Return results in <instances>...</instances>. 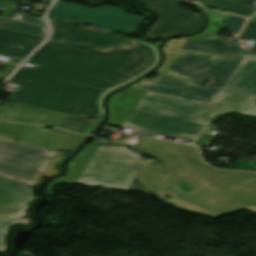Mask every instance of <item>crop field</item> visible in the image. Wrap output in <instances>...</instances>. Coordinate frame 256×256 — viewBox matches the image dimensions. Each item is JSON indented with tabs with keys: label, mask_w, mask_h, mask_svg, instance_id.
Listing matches in <instances>:
<instances>
[{
	"label": "crop field",
	"mask_w": 256,
	"mask_h": 256,
	"mask_svg": "<svg viewBox=\"0 0 256 256\" xmlns=\"http://www.w3.org/2000/svg\"><path fill=\"white\" fill-rule=\"evenodd\" d=\"M52 37L13 76L30 80L12 101L81 116L98 93L140 61L98 53L112 35L49 21Z\"/></svg>",
	"instance_id": "crop-field-1"
},
{
	"label": "crop field",
	"mask_w": 256,
	"mask_h": 256,
	"mask_svg": "<svg viewBox=\"0 0 256 256\" xmlns=\"http://www.w3.org/2000/svg\"><path fill=\"white\" fill-rule=\"evenodd\" d=\"M251 18L256 19V13H255V15H254L253 17H251Z\"/></svg>",
	"instance_id": "crop-field-31"
},
{
	"label": "crop field",
	"mask_w": 256,
	"mask_h": 256,
	"mask_svg": "<svg viewBox=\"0 0 256 256\" xmlns=\"http://www.w3.org/2000/svg\"><path fill=\"white\" fill-rule=\"evenodd\" d=\"M146 93L147 91L133 89L112 98L110 101L112 119L109 124L121 126Z\"/></svg>",
	"instance_id": "crop-field-16"
},
{
	"label": "crop field",
	"mask_w": 256,
	"mask_h": 256,
	"mask_svg": "<svg viewBox=\"0 0 256 256\" xmlns=\"http://www.w3.org/2000/svg\"><path fill=\"white\" fill-rule=\"evenodd\" d=\"M158 61L159 53L157 47L146 43L143 55V63L107 85L92 102L83 116H102L104 110L102 111L101 101L103 96L107 94L106 92L112 91L126 83L133 81L137 77L152 69Z\"/></svg>",
	"instance_id": "crop-field-13"
},
{
	"label": "crop field",
	"mask_w": 256,
	"mask_h": 256,
	"mask_svg": "<svg viewBox=\"0 0 256 256\" xmlns=\"http://www.w3.org/2000/svg\"><path fill=\"white\" fill-rule=\"evenodd\" d=\"M132 146L166 164H142L135 178L161 200L212 218L241 208L256 214V173L216 170L201 160L195 146L145 137ZM179 182L192 190L185 193L176 185ZM165 192L173 198L166 200ZM213 199L217 201L211 203Z\"/></svg>",
	"instance_id": "crop-field-2"
},
{
	"label": "crop field",
	"mask_w": 256,
	"mask_h": 256,
	"mask_svg": "<svg viewBox=\"0 0 256 256\" xmlns=\"http://www.w3.org/2000/svg\"><path fill=\"white\" fill-rule=\"evenodd\" d=\"M138 167V155L123 147H98L77 184L127 189Z\"/></svg>",
	"instance_id": "crop-field-5"
},
{
	"label": "crop field",
	"mask_w": 256,
	"mask_h": 256,
	"mask_svg": "<svg viewBox=\"0 0 256 256\" xmlns=\"http://www.w3.org/2000/svg\"><path fill=\"white\" fill-rule=\"evenodd\" d=\"M239 37L256 41V21L248 19ZM246 53L256 54V45L251 49L227 45L217 35L186 41L169 70L194 82L202 74L218 77L212 86L222 88Z\"/></svg>",
	"instance_id": "crop-field-4"
},
{
	"label": "crop field",
	"mask_w": 256,
	"mask_h": 256,
	"mask_svg": "<svg viewBox=\"0 0 256 256\" xmlns=\"http://www.w3.org/2000/svg\"><path fill=\"white\" fill-rule=\"evenodd\" d=\"M205 7H210L249 17L256 8L247 5L245 0H195Z\"/></svg>",
	"instance_id": "crop-field-19"
},
{
	"label": "crop field",
	"mask_w": 256,
	"mask_h": 256,
	"mask_svg": "<svg viewBox=\"0 0 256 256\" xmlns=\"http://www.w3.org/2000/svg\"><path fill=\"white\" fill-rule=\"evenodd\" d=\"M183 40H172L168 44L169 47L165 48L166 53H175L177 54L181 46L184 44Z\"/></svg>",
	"instance_id": "crop-field-25"
},
{
	"label": "crop field",
	"mask_w": 256,
	"mask_h": 256,
	"mask_svg": "<svg viewBox=\"0 0 256 256\" xmlns=\"http://www.w3.org/2000/svg\"><path fill=\"white\" fill-rule=\"evenodd\" d=\"M1 136H3V135H1ZM4 137H6V136H4ZM7 138H10V137H7ZM11 139H13V138H11ZM14 140H17V139H14ZM18 141H20V140H18ZM21 142H23V141H21ZM25 143H27V142H25ZM28 144H30V143H28ZM31 145H33V144H31ZM36 146V145H35ZM39 147V146H38ZM41 148H43V147H41ZM44 149H46V148H44ZM47 150H49V149H47ZM49 151H52V150H49ZM52 152H55V153H57L56 154V156L53 158V160L51 161V163L48 165V167L46 168V170L43 172V174L40 176V178L38 179V181H40L41 179H43L44 177H46V176H48V175H50L51 173H53V172H55L56 171V169H55V162H56V160L62 155L61 153H59V152H57V151H52ZM37 181V182H38ZM37 182L35 183V184H37Z\"/></svg>",
	"instance_id": "crop-field-24"
},
{
	"label": "crop field",
	"mask_w": 256,
	"mask_h": 256,
	"mask_svg": "<svg viewBox=\"0 0 256 256\" xmlns=\"http://www.w3.org/2000/svg\"><path fill=\"white\" fill-rule=\"evenodd\" d=\"M48 16L130 35L137 29L139 23L145 20L118 7L89 8L60 0L51 7Z\"/></svg>",
	"instance_id": "crop-field-7"
},
{
	"label": "crop field",
	"mask_w": 256,
	"mask_h": 256,
	"mask_svg": "<svg viewBox=\"0 0 256 256\" xmlns=\"http://www.w3.org/2000/svg\"><path fill=\"white\" fill-rule=\"evenodd\" d=\"M223 88L256 94V55H246Z\"/></svg>",
	"instance_id": "crop-field-15"
},
{
	"label": "crop field",
	"mask_w": 256,
	"mask_h": 256,
	"mask_svg": "<svg viewBox=\"0 0 256 256\" xmlns=\"http://www.w3.org/2000/svg\"><path fill=\"white\" fill-rule=\"evenodd\" d=\"M144 45L143 42L114 36L100 52L142 61Z\"/></svg>",
	"instance_id": "crop-field-17"
},
{
	"label": "crop field",
	"mask_w": 256,
	"mask_h": 256,
	"mask_svg": "<svg viewBox=\"0 0 256 256\" xmlns=\"http://www.w3.org/2000/svg\"><path fill=\"white\" fill-rule=\"evenodd\" d=\"M245 21H246L245 18H241V17L231 15V17L227 21V24H226L225 28H229L233 32L238 34V32L240 31V29L243 26V24L245 23Z\"/></svg>",
	"instance_id": "crop-field-23"
},
{
	"label": "crop field",
	"mask_w": 256,
	"mask_h": 256,
	"mask_svg": "<svg viewBox=\"0 0 256 256\" xmlns=\"http://www.w3.org/2000/svg\"><path fill=\"white\" fill-rule=\"evenodd\" d=\"M146 3V7L160 18L146 34L150 39H162L166 36L193 32L201 26L200 15L184 10L180 0H136Z\"/></svg>",
	"instance_id": "crop-field-9"
},
{
	"label": "crop field",
	"mask_w": 256,
	"mask_h": 256,
	"mask_svg": "<svg viewBox=\"0 0 256 256\" xmlns=\"http://www.w3.org/2000/svg\"><path fill=\"white\" fill-rule=\"evenodd\" d=\"M55 153L0 137V176L34 185Z\"/></svg>",
	"instance_id": "crop-field-6"
},
{
	"label": "crop field",
	"mask_w": 256,
	"mask_h": 256,
	"mask_svg": "<svg viewBox=\"0 0 256 256\" xmlns=\"http://www.w3.org/2000/svg\"><path fill=\"white\" fill-rule=\"evenodd\" d=\"M0 134L27 141L49 149L70 152L84 138L77 134H69L45 127L17 123L0 122Z\"/></svg>",
	"instance_id": "crop-field-10"
},
{
	"label": "crop field",
	"mask_w": 256,
	"mask_h": 256,
	"mask_svg": "<svg viewBox=\"0 0 256 256\" xmlns=\"http://www.w3.org/2000/svg\"><path fill=\"white\" fill-rule=\"evenodd\" d=\"M0 120L46 125L81 132L90 131L99 121V119H84L20 103L15 104L12 108L0 106Z\"/></svg>",
	"instance_id": "crop-field-8"
},
{
	"label": "crop field",
	"mask_w": 256,
	"mask_h": 256,
	"mask_svg": "<svg viewBox=\"0 0 256 256\" xmlns=\"http://www.w3.org/2000/svg\"><path fill=\"white\" fill-rule=\"evenodd\" d=\"M255 98L220 90L208 104L148 92L122 126L154 137L164 134L193 140L212 116L253 106Z\"/></svg>",
	"instance_id": "crop-field-3"
},
{
	"label": "crop field",
	"mask_w": 256,
	"mask_h": 256,
	"mask_svg": "<svg viewBox=\"0 0 256 256\" xmlns=\"http://www.w3.org/2000/svg\"><path fill=\"white\" fill-rule=\"evenodd\" d=\"M17 223H24V222L0 219V252L5 253L6 251L5 238L8 235L9 227ZM24 224H31V223H24Z\"/></svg>",
	"instance_id": "crop-field-22"
},
{
	"label": "crop field",
	"mask_w": 256,
	"mask_h": 256,
	"mask_svg": "<svg viewBox=\"0 0 256 256\" xmlns=\"http://www.w3.org/2000/svg\"><path fill=\"white\" fill-rule=\"evenodd\" d=\"M96 149L97 147H87L84 149L76 159L74 158L75 160L69 163L67 175L54 180V182L76 184Z\"/></svg>",
	"instance_id": "crop-field-18"
},
{
	"label": "crop field",
	"mask_w": 256,
	"mask_h": 256,
	"mask_svg": "<svg viewBox=\"0 0 256 256\" xmlns=\"http://www.w3.org/2000/svg\"><path fill=\"white\" fill-rule=\"evenodd\" d=\"M10 82H14V83H17V84H19L20 85V88L25 84V83H27L28 81L27 80H23V79H19V78H15V77H11L10 78V80H9Z\"/></svg>",
	"instance_id": "crop-field-28"
},
{
	"label": "crop field",
	"mask_w": 256,
	"mask_h": 256,
	"mask_svg": "<svg viewBox=\"0 0 256 256\" xmlns=\"http://www.w3.org/2000/svg\"><path fill=\"white\" fill-rule=\"evenodd\" d=\"M10 11H11V10L6 9L3 17L7 18L8 15H9V13H10Z\"/></svg>",
	"instance_id": "crop-field-30"
},
{
	"label": "crop field",
	"mask_w": 256,
	"mask_h": 256,
	"mask_svg": "<svg viewBox=\"0 0 256 256\" xmlns=\"http://www.w3.org/2000/svg\"><path fill=\"white\" fill-rule=\"evenodd\" d=\"M237 113H241V114H245V115H250V116H255L256 117V108L245 110V111H241V112H237Z\"/></svg>",
	"instance_id": "crop-field-29"
},
{
	"label": "crop field",
	"mask_w": 256,
	"mask_h": 256,
	"mask_svg": "<svg viewBox=\"0 0 256 256\" xmlns=\"http://www.w3.org/2000/svg\"><path fill=\"white\" fill-rule=\"evenodd\" d=\"M45 38L0 27V54L24 59Z\"/></svg>",
	"instance_id": "crop-field-14"
},
{
	"label": "crop field",
	"mask_w": 256,
	"mask_h": 256,
	"mask_svg": "<svg viewBox=\"0 0 256 256\" xmlns=\"http://www.w3.org/2000/svg\"><path fill=\"white\" fill-rule=\"evenodd\" d=\"M23 21L32 22V23H36V24H39V25H45L42 18H34V17L26 16Z\"/></svg>",
	"instance_id": "crop-field-26"
},
{
	"label": "crop field",
	"mask_w": 256,
	"mask_h": 256,
	"mask_svg": "<svg viewBox=\"0 0 256 256\" xmlns=\"http://www.w3.org/2000/svg\"><path fill=\"white\" fill-rule=\"evenodd\" d=\"M139 89L211 103L218 89L193 85L191 83L160 75L146 81Z\"/></svg>",
	"instance_id": "crop-field-12"
},
{
	"label": "crop field",
	"mask_w": 256,
	"mask_h": 256,
	"mask_svg": "<svg viewBox=\"0 0 256 256\" xmlns=\"http://www.w3.org/2000/svg\"><path fill=\"white\" fill-rule=\"evenodd\" d=\"M0 26L21 30V31H26V32H31L35 34L45 35V36H47L48 34V29L45 27H40L36 25L26 24V23L12 21V20L3 19V18H0Z\"/></svg>",
	"instance_id": "crop-field-20"
},
{
	"label": "crop field",
	"mask_w": 256,
	"mask_h": 256,
	"mask_svg": "<svg viewBox=\"0 0 256 256\" xmlns=\"http://www.w3.org/2000/svg\"><path fill=\"white\" fill-rule=\"evenodd\" d=\"M33 187L0 177V217L30 222L26 211L34 204Z\"/></svg>",
	"instance_id": "crop-field-11"
},
{
	"label": "crop field",
	"mask_w": 256,
	"mask_h": 256,
	"mask_svg": "<svg viewBox=\"0 0 256 256\" xmlns=\"http://www.w3.org/2000/svg\"><path fill=\"white\" fill-rule=\"evenodd\" d=\"M125 140L101 139V144H123Z\"/></svg>",
	"instance_id": "crop-field-27"
},
{
	"label": "crop field",
	"mask_w": 256,
	"mask_h": 256,
	"mask_svg": "<svg viewBox=\"0 0 256 256\" xmlns=\"http://www.w3.org/2000/svg\"><path fill=\"white\" fill-rule=\"evenodd\" d=\"M205 12H207L210 17L209 27L203 34H201L197 37H191L192 40L205 39V38H209V37L215 35L213 25L220 23L222 20H228V18L230 17V14L216 12V11H212V10L205 9Z\"/></svg>",
	"instance_id": "crop-field-21"
}]
</instances>
